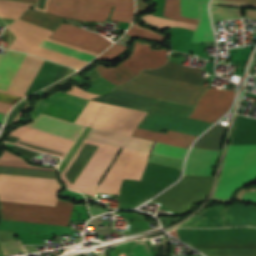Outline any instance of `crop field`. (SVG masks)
I'll return each mask as SVG.
<instances>
[{"label":"crop field","instance_id":"733c2abd","mask_svg":"<svg viewBox=\"0 0 256 256\" xmlns=\"http://www.w3.org/2000/svg\"><path fill=\"white\" fill-rule=\"evenodd\" d=\"M218 152L192 148L186 163L184 175L210 176Z\"/></svg>","mask_w":256,"mask_h":256},{"label":"crop field","instance_id":"22f410ed","mask_svg":"<svg viewBox=\"0 0 256 256\" xmlns=\"http://www.w3.org/2000/svg\"><path fill=\"white\" fill-rule=\"evenodd\" d=\"M149 46L136 41L132 55L122 64L137 75L144 68H157L165 64L168 59L166 49L155 51Z\"/></svg>","mask_w":256,"mask_h":256},{"label":"crop field","instance_id":"3316defc","mask_svg":"<svg viewBox=\"0 0 256 256\" xmlns=\"http://www.w3.org/2000/svg\"><path fill=\"white\" fill-rule=\"evenodd\" d=\"M20 139L27 140L40 145H44L47 147H51L57 150H61L63 151V153L55 150H51L33 143H29ZM8 142H11V143L16 142L14 144L31 148L39 152H45L52 155L60 156V157H63L66 154L67 150L70 148V146L73 144V141H69L63 138H59L53 135H49V134L39 132L33 129L25 128V127H20L15 131L11 132Z\"/></svg>","mask_w":256,"mask_h":256},{"label":"crop field","instance_id":"d32e631a","mask_svg":"<svg viewBox=\"0 0 256 256\" xmlns=\"http://www.w3.org/2000/svg\"><path fill=\"white\" fill-rule=\"evenodd\" d=\"M126 47L115 44L110 49H108L106 52H104L102 55H100L96 59L100 60H112L116 56H118L121 52L125 50Z\"/></svg>","mask_w":256,"mask_h":256},{"label":"crop field","instance_id":"d8731c3e","mask_svg":"<svg viewBox=\"0 0 256 256\" xmlns=\"http://www.w3.org/2000/svg\"><path fill=\"white\" fill-rule=\"evenodd\" d=\"M193 247H256V228L176 229Z\"/></svg>","mask_w":256,"mask_h":256},{"label":"crop field","instance_id":"92a150f3","mask_svg":"<svg viewBox=\"0 0 256 256\" xmlns=\"http://www.w3.org/2000/svg\"><path fill=\"white\" fill-rule=\"evenodd\" d=\"M64 19L37 10L26 11L20 18V20L36 24L51 31H54Z\"/></svg>","mask_w":256,"mask_h":256},{"label":"crop field","instance_id":"e1f06a70","mask_svg":"<svg viewBox=\"0 0 256 256\" xmlns=\"http://www.w3.org/2000/svg\"><path fill=\"white\" fill-rule=\"evenodd\" d=\"M237 200L247 201V202H256V191L255 192H238L236 198Z\"/></svg>","mask_w":256,"mask_h":256},{"label":"crop field","instance_id":"dafd665d","mask_svg":"<svg viewBox=\"0 0 256 256\" xmlns=\"http://www.w3.org/2000/svg\"><path fill=\"white\" fill-rule=\"evenodd\" d=\"M213 21L240 18V10L211 5ZM246 18L256 20V11L247 10Z\"/></svg>","mask_w":256,"mask_h":256},{"label":"crop field","instance_id":"a9b5d70f","mask_svg":"<svg viewBox=\"0 0 256 256\" xmlns=\"http://www.w3.org/2000/svg\"><path fill=\"white\" fill-rule=\"evenodd\" d=\"M13 233L14 232L0 231V242L14 240ZM2 249L5 256L25 251L21 241L2 243Z\"/></svg>","mask_w":256,"mask_h":256},{"label":"crop field","instance_id":"f4fd0767","mask_svg":"<svg viewBox=\"0 0 256 256\" xmlns=\"http://www.w3.org/2000/svg\"><path fill=\"white\" fill-rule=\"evenodd\" d=\"M255 171L256 145L229 146L212 199L229 202L235 189L253 181Z\"/></svg>","mask_w":256,"mask_h":256},{"label":"crop field","instance_id":"c035e120","mask_svg":"<svg viewBox=\"0 0 256 256\" xmlns=\"http://www.w3.org/2000/svg\"><path fill=\"white\" fill-rule=\"evenodd\" d=\"M212 3L215 4H226V5H233V6H255L256 4H248V3H238V2H230V1H223V0H213Z\"/></svg>","mask_w":256,"mask_h":256},{"label":"crop field","instance_id":"cbeb9de0","mask_svg":"<svg viewBox=\"0 0 256 256\" xmlns=\"http://www.w3.org/2000/svg\"><path fill=\"white\" fill-rule=\"evenodd\" d=\"M87 140L129 149L133 151L143 152L149 154L154 142L142 140L138 138L128 137L120 134H115L111 132H106L98 129H93L90 131Z\"/></svg>","mask_w":256,"mask_h":256},{"label":"crop field","instance_id":"28ad6ade","mask_svg":"<svg viewBox=\"0 0 256 256\" xmlns=\"http://www.w3.org/2000/svg\"><path fill=\"white\" fill-rule=\"evenodd\" d=\"M235 92L236 91H226L220 89L208 90L201 97L195 110L189 117L208 122H215L229 110Z\"/></svg>","mask_w":256,"mask_h":256},{"label":"crop field","instance_id":"4a817a6b","mask_svg":"<svg viewBox=\"0 0 256 256\" xmlns=\"http://www.w3.org/2000/svg\"><path fill=\"white\" fill-rule=\"evenodd\" d=\"M256 144V119L236 115L229 145Z\"/></svg>","mask_w":256,"mask_h":256},{"label":"crop field","instance_id":"03da06ac","mask_svg":"<svg viewBox=\"0 0 256 256\" xmlns=\"http://www.w3.org/2000/svg\"><path fill=\"white\" fill-rule=\"evenodd\" d=\"M13 149H15L16 152L21 153V154L25 155L28 158H31L33 155L38 154L37 152H33V151H30V150H27V149H23V148H20V147H17V146H13Z\"/></svg>","mask_w":256,"mask_h":256},{"label":"crop field","instance_id":"5142ce71","mask_svg":"<svg viewBox=\"0 0 256 256\" xmlns=\"http://www.w3.org/2000/svg\"><path fill=\"white\" fill-rule=\"evenodd\" d=\"M39 116V115H38ZM34 120V119H33ZM28 127L75 141L83 126L41 114Z\"/></svg>","mask_w":256,"mask_h":256},{"label":"crop field","instance_id":"5d738f31","mask_svg":"<svg viewBox=\"0 0 256 256\" xmlns=\"http://www.w3.org/2000/svg\"><path fill=\"white\" fill-rule=\"evenodd\" d=\"M12 1H19V2H26V3L36 4V0H12Z\"/></svg>","mask_w":256,"mask_h":256},{"label":"crop field","instance_id":"d1516ede","mask_svg":"<svg viewBox=\"0 0 256 256\" xmlns=\"http://www.w3.org/2000/svg\"><path fill=\"white\" fill-rule=\"evenodd\" d=\"M49 38L70 45H74L98 54H100L107 46L112 44L107 39L95 33L65 24H62L59 28H57L49 36Z\"/></svg>","mask_w":256,"mask_h":256},{"label":"crop field","instance_id":"5866460e","mask_svg":"<svg viewBox=\"0 0 256 256\" xmlns=\"http://www.w3.org/2000/svg\"><path fill=\"white\" fill-rule=\"evenodd\" d=\"M0 92L11 94V95L20 96V97H23V98L25 97L23 95H19V94H15V93H10V92H6V91H2V90H0ZM2 93H0V101L1 102H6V103L14 104L16 101H18L20 99L19 97H15V96H11V95H6V94H2ZM4 117H5L4 114H0V122L3 121Z\"/></svg>","mask_w":256,"mask_h":256},{"label":"crop field","instance_id":"bd1437ed","mask_svg":"<svg viewBox=\"0 0 256 256\" xmlns=\"http://www.w3.org/2000/svg\"><path fill=\"white\" fill-rule=\"evenodd\" d=\"M186 151H187L186 149L177 148V147L164 145V144H160V143L157 144V146L154 150L155 153L164 154V155L177 157V158H181V159L184 158Z\"/></svg>","mask_w":256,"mask_h":256},{"label":"crop field","instance_id":"b80d0937","mask_svg":"<svg viewBox=\"0 0 256 256\" xmlns=\"http://www.w3.org/2000/svg\"><path fill=\"white\" fill-rule=\"evenodd\" d=\"M245 226H256V208L249 207Z\"/></svg>","mask_w":256,"mask_h":256},{"label":"crop field","instance_id":"ac0d7876","mask_svg":"<svg viewBox=\"0 0 256 256\" xmlns=\"http://www.w3.org/2000/svg\"><path fill=\"white\" fill-rule=\"evenodd\" d=\"M193 107L157 100L139 127L160 132L162 128L198 136L212 123L186 118ZM137 128L132 136L189 148L195 136L168 131L166 134Z\"/></svg>","mask_w":256,"mask_h":256},{"label":"crop field","instance_id":"34b2d1b8","mask_svg":"<svg viewBox=\"0 0 256 256\" xmlns=\"http://www.w3.org/2000/svg\"><path fill=\"white\" fill-rule=\"evenodd\" d=\"M4 55L0 54V62ZM24 55L8 51L0 63V89L7 90L15 72L17 71ZM42 60L33 56L25 55L17 73L15 74L8 90L24 94L38 70ZM61 65L43 60L26 95L42 89L53 83Z\"/></svg>","mask_w":256,"mask_h":256},{"label":"crop field","instance_id":"dd49c442","mask_svg":"<svg viewBox=\"0 0 256 256\" xmlns=\"http://www.w3.org/2000/svg\"><path fill=\"white\" fill-rule=\"evenodd\" d=\"M181 170L147 163L141 181L123 179L119 208H133L178 179Z\"/></svg>","mask_w":256,"mask_h":256},{"label":"crop field","instance_id":"00972430","mask_svg":"<svg viewBox=\"0 0 256 256\" xmlns=\"http://www.w3.org/2000/svg\"><path fill=\"white\" fill-rule=\"evenodd\" d=\"M39 47L46 48V49H49V50H52L55 52H59V53H62V54H65V55H68V56H71L74 58H78V59H81V60H84L87 62H89L93 58H95V56H92L90 54L83 53V52H80V51L59 45V44L47 42L45 40L41 44H39Z\"/></svg>","mask_w":256,"mask_h":256},{"label":"crop field","instance_id":"214f88e0","mask_svg":"<svg viewBox=\"0 0 256 256\" xmlns=\"http://www.w3.org/2000/svg\"><path fill=\"white\" fill-rule=\"evenodd\" d=\"M226 216L227 209L205 210L201 215L178 227H226Z\"/></svg>","mask_w":256,"mask_h":256},{"label":"crop field","instance_id":"d3111659","mask_svg":"<svg viewBox=\"0 0 256 256\" xmlns=\"http://www.w3.org/2000/svg\"><path fill=\"white\" fill-rule=\"evenodd\" d=\"M163 15L175 20L185 21L194 24L197 23V20L195 19L180 17L179 0H165V9Z\"/></svg>","mask_w":256,"mask_h":256},{"label":"crop field","instance_id":"e52e79f7","mask_svg":"<svg viewBox=\"0 0 256 256\" xmlns=\"http://www.w3.org/2000/svg\"><path fill=\"white\" fill-rule=\"evenodd\" d=\"M145 115V112L89 101L75 122L131 136Z\"/></svg>","mask_w":256,"mask_h":256},{"label":"crop field","instance_id":"d23c7cc5","mask_svg":"<svg viewBox=\"0 0 256 256\" xmlns=\"http://www.w3.org/2000/svg\"><path fill=\"white\" fill-rule=\"evenodd\" d=\"M230 1L256 3V0H230Z\"/></svg>","mask_w":256,"mask_h":256},{"label":"crop field","instance_id":"ae1a2a85","mask_svg":"<svg viewBox=\"0 0 256 256\" xmlns=\"http://www.w3.org/2000/svg\"><path fill=\"white\" fill-rule=\"evenodd\" d=\"M248 207L228 208L227 227L244 226Z\"/></svg>","mask_w":256,"mask_h":256},{"label":"crop field","instance_id":"5a996713","mask_svg":"<svg viewBox=\"0 0 256 256\" xmlns=\"http://www.w3.org/2000/svg\"><path fill=\"white\" fill-rule=\"evenodd\" d=\"M1 203L3 219L68 225L73 204L57 200L56 207L41 206L23 203Z\"/></svg>","mask_w":256,"mask_h":256},{"label":"crop field","instance_id":"eef30255","mask_svg":"<svg viewBox=\"0 0 256 256\" xmlns=\"http://www.w3.org/2000/svg\"><path fill=\"white\" fill-rule=\"evenodd\" d=\"M97 69L102 77H104L106 80H108L115 86L129 82L130 80L112 67H104L102 65H99L97 66Z\"/></svg>","mask_w":256,"mask_h":256},{"label":"crop field","instance_id":"730fd06b","mask_svg":"<svg viewBox=\"0 0 256 256\" xmlns=\"http://www.w3.org/2000/svg\"><path fill=\"white\" fill-rule=\"evenodd\" d=\"M0 173L56 179L54 172L0 167Z\"/></svg>","mask_w":256,"mask_h":256},{"label":"crop field","instance_id":"120bbe31","mask_svg":"<svg viewBox=\"0 0 256 256\" xmlns=\"http://www.w3.org/2000/svg\"><path fill=\"white\" fill-rule=\"evenodd\" d=\"M126 34L133 35V36H139V37H145V38L159 40V41H161L163 38L162 35H158V34L153 33L145 28H142L140 26L133 25V24Z\"/></svg>","mask_w":256,"mask_h":256},{"label":"crop field","instance_id":"d9b57169","mask_svg":"<svg viewBox=\"0 0 256 256\" xmlns=\"http://www.w3.org/2000/svg\"><path fill=\"white\" fill-rule=\"evenodd\" d=\"M92 100L125 106L145 112H148L156 101L155 99L135 95L128 92H122L115 89L105 96L94 98Z\"/></svg>","mask_w":256,"mask_h":256},{"label":"crop field","instance_id":"750c4746","mask_svg":"<svg viewBox=\"0 0 256 256\" xmlns=\"http://www.w3.org/2000/svg\"><path fill=\"white\" fill-rule=\"evenodd\" d=\"M198 2L208 3V0H180L181 16L199 19Z\"/></svg>","mask_w":256,"mask_h":256},{"label":"crop field","instance_id":"425ffa30","mask_svg":"<svg viewBox=\"0 0 256 256\" xmlns=\"http://www.w3.org/2000/svg\"><path fill=\"white\" fill-rule=\"evenodd\" d=\"M100 256H105V253L101 254Z\"/></svg>","mask_w":256,"mask_h":256},{"label":"crop field","instance_id":"bc2a9ffb","mask_svg":"<svg viewBox=\"0 0 256 256\" xmlns=\"http://www.w3.org/2000/svg\"><path fill=\"white\" fill-rule=\"evenodd\" d=\"M35 102L36 106L34 110L29 113L31 119L40 114L51 102L82 111V109L88 103V100L62 92H56L47 99L35 100Z\"/></svg>","mask_w":256,"mask_h":256},{"label":"crop field","instance_id":"412701ff","mask_svg":"<svg viewBox=\"0 0 256 256\" xmlns=\"http://www.w3.org/2000/svg\"><path fill=\"white\" fill-rule=\"evenodd\" d=\"M112 5L111 20L131 22L133 0H49L46 12L80 21L103 22L107 20Z\"/></svg>","mask_w":256,"mask_h":256},{"label":"crop field","instance_id":"028f5c9d","mask_svg":"<svg viewBox=\"0 0 256 256\" xmlns=\"http://www.w3.org/2000/svg\"><path fill=\"white\" fill-rule=\"evenodd\" d=\"M25 105H27V102H26L25 99H23L19 104H17V105L14 107V109H13V110L9 113V115H8V118H7V120H6L5 126L10 125V124H12L13 122H15V120H16L18 114L20 113L21 109H22Z\"/></svg>","mask_w":256,"mask_h":256},{"label":"crop field","instance_id":"0bd39190","mask_svg":"<svg viewBox=\"0 0 256 256\" xmlns=\"http://www.w3.org/2000/svg\"><path fill=\"white\" fill-rule=\"evenodd\" d=\"M67 93H70V94L75 95V96L87 98V99L100 96V95H95V94H91V93L85 92V91L80 90V89H78V88H76V87H74V86H73V88H72L70 91H68Z\"/></svg>","mask_w":256,"mask_h":256},{"label":"crop field","instance_id":"8a807250","mask_svg":"<svg viewBox=\"0 0 256 256\" xmlns=\"http://www.w3.org/2000/svg\"><path fill=\"white\" fill-rule=\"evenodd\" d=\"M162 68L196 77H199L200 71V69L177 65L170 61ZM162 68L143 70L142 73L134 80L127 84L116 87V89L192 106L204 82V79H207V77L200 79L201 77L196 78ZM207 89L208 88L202 86L193 106H195L198 98Z\"/></svg>","mask_w":256,"mask_h":256},{"label":"crop field","instance_id":"b54c1fbb","mask_svg":"<svg viewBox=\"0 0 256 256\" xmlns=\"http://www.w3.org/2000/svg\"><path fill=\"white\" fill-rule=\"evenodd\" d=\"M146 10H148V5L142 0H136V15Z\"/></svg>","mask_w":256,"mask_h":256},{"label":"crop field","instance_id":"c21b1889","mask_svg":"<svg viewBox=\"0 0 256 256\" xmlns=\"http://www.w3.org/2000/svg\"><path fill=\"white\" fill-rule=\"evenodd\" d=\"M117 70H119L120 72H122L123 74H125L127 77H129L130 79L137 76L135 75L133 72H131L129 69H127L126 67H124L123 65H121L120 63L114 67Z\"/></svg>","mask_w":256,"mask_h":256},{"label":"crop field","instance_id":"1d83c4d3","mask_svg":"<svg viewBox=\"0 0 256 256\" xmlns=\"http://www.w3.org/2000/svg\"><path fill=\"white\" fill-rule=\"evenodd\" d=\"M149 161L181 169L183 160L152 153Z\"/></svg>","mask_w":256,"mask_h":256},{"label":"crop field","instance_id":"4177f3b9","mask_svg":"<svg viewBox=\"0 0 256 256\" xmlns=\"http://www.w3.org/2000/svg\"><path fill=\"white\" fill-rule=\"evenodd\" d=\"M143 19L145 22L154 25L158 29L168 28L172 26L185 27V28H190L192 30L196 28V25H193V24L175 22V21L155 17L149 14L143 16Z\"/></svg>","mask_w":256,"mask_h":256}]
</instances>
